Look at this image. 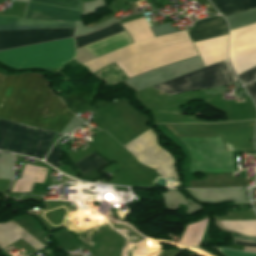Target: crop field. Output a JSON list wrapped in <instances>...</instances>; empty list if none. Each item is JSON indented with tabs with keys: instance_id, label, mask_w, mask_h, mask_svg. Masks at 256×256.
I'll return each instance as SVG.
<instances>
[{
	"instance_id": "6",
	"label": "crop field",
	"mask_w": 256,
	"mask_h": 256,
	"mask_svg": "<svg viewBox=\"0 0 256 256\" xmlns=\"http://www.w3.org/2000/svg\"><path fill=\"white\" fill-rule=\"evenodd\" d=\"M236 82L238 80L227 59L152 87L169 95H175L191 90L218 87Z\"/></svg>"
},
{
	"instance_id": "4",
	"label": "crop field",
	"mask_w": 256,
	"mask_h": 256,
	"mask_svg": "<svg viewBox=\"0 0 256 256\" xmlns=\"http://www.w3.org/2000/svg\"><path fill=\"white\" fill-rule=\"evenodd\" d=\"M54 132L0 119V150L43 159Z\"/></svg>"
},
{
	"instance_id": "11",
	"label": "crop field",
	"mask_w": 256,
	"mask_h": 256,
	"mask_svg": "<svg viewBox=\"0 0 256 256\" xmlns=\"http://www.w3.org/2000/svg\"><path fill=\"white\" fill-rule=\"evenodd\" d=\"M73 29L74 28L27 30V31H1L0 32V50L72 36Z\"/></svg>"
},
{
	"instance_id": "18",
	"label": "crop field",
	"mask_w": 256,
	"mask_h": 256,
	"mask_svg": "<svg viewBox=\"0 0 256 256\" xmlns=\"http://www.w3.org/2000/svg\"><path fill=\"white\" fill-rule=\"evenodd\" d=\"M60 156H61V154H60L59 148L56 143L55 147L52 149V151L46 157L45 162L55 166L58 169V167L61 164L59 161Z\"/></svg>"
},
{
	"instance_id": "2",
	"label": "crop field",
	"mask_w": 256,
	"mask_h": 256,
	"mask_svg": "<svg viewBox=\"0 0 256 256\" xmlns=\"http://www.w3.org/2000/svg\"><path fill=\"white\" fill-rule=\"evenodd\" d=\"M75 56L73 38L0 52V61L16 69L60 68Z\"/></svg>"
},
{
	"instance_id": "20",
	"label": "crop field",
	"mask_w": 256,
	"mask_h": 256,
	"mask_svg": "<svg viewBox=\"0 0 256 256\" xmlns=\"http://www.w3.org/2000/svg\"><path fill=\"white\" fill-rule=\"evenodd\" d=\"M245 88L247 89V91L250 93L253 101L256 104V80L245 85Z\"/></svg>"
},
{
	"instance_id": "3",
	"label": "crop field",
	"mask_w": 256,
	"mask_h": 256,
	"mask_svg": "<svg viewBox=\"0 0 256 256\" xmlns=\"http://www.w3.org/2000/svg\"><path fill=\"white\" fill-rule=\"evenodd\" d=\"M122 26L129 32L134 43L83 63L92 73L129 55L189 40L186 31L154 38L145 18Z\"/></svg>"
},
{
	"instance_id": "7",
	"label": "crop field",
	"mask_w": 256,
	"mask_h": 256,
	"mask_svg": "<svg viewBox=\"0 0 256 256\" xmlns=\"http://www.w3.org/2000/svg\"><path fill=\"white\" fill-rule=\"evenodd\" d=\"M81 12L29 3L24 19L40 20H78ZM40 20H20L16 18L0 17L1 30H22L56 27H74V21H40Z\"/></svg>"
},
{
	"instance_id": "1",
	"label": "crop field",
	"mask_w": 256,
	"mask_h": 256,
	"mask_svg": "<svg viewBox=\"0 0 256 256\" xmlns=\"http://www.w3.org/2000/svg\"><path fill=\"white\" fill-rule=\"evenodd\" d=\"M73 116L41 75H0L1 118L61 132Z\"/></svg>"
},
{
	"instance_id": "8",
	"label": "crop field",
	"mask_w": 256,
	"mask_h": 256,
	"mask_svg": "<svg viewBox=\"0 0 256 256\" xmlns=\"http://www.w3.org/2000/svg\"><path fill=\"white\" fill-rule=\"evenodd\" d=\"M193 56H197V53L189 41L129 56L116 64L131 78L145 71Z\"/></svg>"
},
{
	"instance_id": "9",
	"label": "crop field",
	"mask_w": 256,
	"mask_h": 256,
	"mask_svg": "<svg viewBox=\"0 0 256 256\" xmlns=\"http://www.w3.org/2000/svg\"><path fill=\"white\" fill-rule=\"evenodd\" d=\"M124 148L138 162L154 169L162 177L176 176L172 158L158 146L151 129L124 146Z\"/></svg>"
},
{
	"instance_id": "22",
	"label": "crop field",
	"mask_w": 256,
	"mask_h": 256,
	"mask_svg": "<svg viewBox=\"0 0 256 256\" xmlns=\"http://www.w3.org/2000/svg\"><path fill=\"white\" fill-rule=\"evenodd\" d=\"M248 10L256 8V0H243Z\"/></svg>"
},
{
	"instance_id": "21",
	"label": "crop field",
	"mask_w": 256,
	"mask_h": 256,
	"mask_svg": "<svg viewBox=\"0 0 256 256\" xmlns=\"http://www.w3.org/2000/svg\"><path fill=\"white\" fill-rule=\"evenodd\" d=\"M218 250L221 251L225 256H256V254L240 253V252H234V251L223 250V249H218Z\"/></svg>"
},
{
	"instance_id": "14",
	"label": "crop field",
	"mask_w": 256,
	"mask_h": 256,
	"mask_svg": "<svg viewBox=\"0 0 256 256\" xmlns=\"http://www.w3.org/2000/svg\"><path fill=\"white\" fill-rule=\"evenodd\" d=\"M123 31L122 27L119 25V23H116L112 26H109L103 30L85 35V36H80V37H75V42H76V48L86 45L89 43H92L94 41L100 40L102 38L108 37L110 35H113L115 33Z\"/></svg>"
},
{
	"instance_id": "12",
	"label": "crop field",
	"mask_w": 256,
	"mask_h": 256,
	"mask_svg": "<svg viewBox=\"0 0 256 256\" xmlns=\"http://www.w3.org/2000/svg\"><path fill=\"white\" fill-rule=\"evenodd\" d=\"M227 36L193 43L204 66L227 59Z\"/></svg>"
},
{
	"instance_id": "10",
	"label": "crop field",
	"mask_w": 256,
	"mask_h": 256,
	"mask_svg": "<svg viewBox=\"0 0 256 256\" xmlns=\"http://www.w3.org/2000/svg\"><path fill=\"white\" fill-rule=\"evenodd\" d=\"M229 59L236 75L256 65V23L230 31Z\"/></svg>"
},
{
	"instance_id": "15",
	"label": "crop field",
	"mask_w": 256,
	"mask_h": 256,
	"mask_svg": "<svg viewBox=\"0 0 256 256\" xmlns=\"http://www.w3.org/2000/svg\"><path fill=\"white\" fill-rule=\"evenodd\" d=\"M216 9L224 16L247 11L242 0H210Z\"/></svg>"
},
{
	"instance_id": "19",
	"label": "crop field",
	"mask_w": 256,
	"mask_h": 256,
	"mask_svg": "<svg viewBox=\"0 0 256 256\" xmlns=\"http://www.w3.org/2000/svg\"><path fill=\"white\" fill-rule=\"evenodd\" d=\"M238 78L240 79L242 84H245L249 81L256 79V67L238 75Z\"/></svg>"
},
{
	"instance_id": "17",
	"label": "crop field",
	"mask_w": 256,
	"mask_h": 256,
	"mask_svg": "<svg viewBox=\"0 0 256 256\" xmlns=\"http://www.w3.org/2000/svg\"><path fill=\"white\" fill-rule=\"evenodd\" d=\"M30 1L58 5V6L72 8V9H76V10H80V11L82 9V1L81 0H30Z\"/></svg>"
},
{
	"instance_id": "13",
	"label": "crop field",
	"mask_w": 256,
	"mask_h": 256,
	"mask_svg": "<svg viewBox=\"0 0 256 256\" xmlns=\"http://www.w3.org/2000/svg\"><path fill=\"white\" fill-rule=\"evenodd\" d=\"M192 41L228 34L227 24L222 16H214L195 22V30L189 31Z\"/></svg>"
},
{
	"instance_id": "23",
	"label": "crop field",
	"mask_w": 256,
	"mask_h": 256,
	"mask_svg": "<svg viewBox=\"0 0 256 256\" xmlns=\"http://www.w3.org/2000/svg\"><path fill=\"white\" fill-rule=\"evenodd\" d=\"M234 244H238V245H242V246H246V247H256V244H246V243H242V242H238L233 240L232 241Z\"/></svg>"
},
{
	"instance_id": "16",
	"label": "crop field",
	"mask_w": 256,
	"mask_h": 256,
	"mask_svg": "<svg viewBox=\"0 0 256 256\" xmlns=\"http://www.w3.org/2000/svg\"><path fill=\"white\" fill-rule=\"evenodd\" d=\"M76 164L79 167V169L82 171V173H84L89 170L104 166L108 163H106L96 154L91 153L90 155L86 156L82 160L78 161Z\"/></svg>"
},
{
	"instance_id": "5",
	"label": "crop field",
	"mask_w": 256,
	"mask_h": 256,
	"mask_svg": "<svg viewBox=\"0 0 256 256\" xmlns=\"http://www.w3.org/2000/svg\"><path fill=\"white\" fill-rule=\"evenodd\" d=\"M178 139L190 151V171L234 172L231 153H227L220 137Z\"/></svg>"
}]
</instances>
